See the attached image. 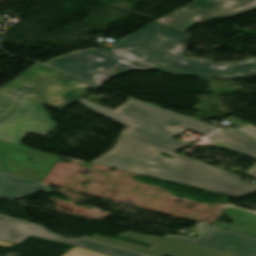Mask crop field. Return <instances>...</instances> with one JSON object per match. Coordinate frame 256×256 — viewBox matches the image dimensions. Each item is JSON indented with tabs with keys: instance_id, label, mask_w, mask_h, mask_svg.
I'll use <instances>...</instances> for the list:
<instances>
[{
	"instance_id": "obj_16",
	"label": "crop field",
	"mask_w": 256,
	"mask_h": 256,
	"mask_svg": "<svg viewBox=\"0 0 256 256\" xmlns=\"http://www.w3.org/2000/svg\"><path fill=\"white\" fill-rule=\"evenodd\" d=\"M147 70L154 69L158 71H163L167 73H172V74H177L181 76H190V77H205V78H221V79H232L240 76H245V77H250V76H255L256 75V68L250 69V70H245V71H240V72H235L227 75H195V74H185L181 72H176V71H171V70H166V69H161V68H154V65L151 67L146 68Z\"/></svg>"
},
{
	"instance_id": "obj_1",
	"label": "crop field",
	"mask_w": 256,
	"mask_h": 256,
	"mask_svg": "<svg viewBox=\"0 0 256 256\" xmlns=\"http://www.w3.org/2000/svg\"><path fill=\"white\" fill-rule=\"evenodd\" d=\"M159 152L176 159L161 157ZM92 162L235 198L256 192V185L240 182V176L123 134L112 151Z\"/></svg>"
},
{
	"instance_id": "obj_17",
	"label": "crop field",
	"mask_w": 256,
	"mask_h": 256,
	"mask_svg": "<svg viewBox=\"0 0 256 256\" xmlns=\"http://www.w3.org/2000/svg\"><path fill=\"white\" fill-rule=\"evenodd\" d=\"M35 87H37V86L30 82H27L25 80L15 77L10 82H8L6 85H4L1 89L21 96V94H23Z\"/></svg>"
},
{
	"instance_id": "obj_3",
	"label": "crop field",
	"mask_w": 256,
	"mask_h": 256,
	"mask_svg": "<svg viewBox=\"0 0 256 256\" xmlns=\"http://www.w3.org/2000/svg\"><path fill=\"white\" fill-rule=\"evenodd\" d=\"M79 102L94 111L108 116L128 127L123 134L158 145L169 150H178L188 144L171 138L182 128L209 135L217 129L134 102L127 101L115 111L81 99ZM169 126L173 127L172 129ZM182 127V128H180Z\"/></svg>"
},
{
	"instance_id": "obj_15",
	"label": "crop field",
	"mask_w": 256,
	"mask_h": 256,
	"mask_svg": "<svg viewBox=\"0 0 256 256\" xmlns=\"http://www.w3.org/2000/svg\"><path fill=\"white\" fill-rule=\"evenodd\" d=\"M57 76H68V74H65L45 65L35 64L26 71L19 74L17 77L25 79L37 85L38 80L40 79Z\"/></svg>"
},
{
	"instance_id": "obj_12",
	"label": "crop field",
	"mask_w": 256,
	"mask_h": 256,
	"mask_svg": "<svg viewBox=\"0 0 256 256\" xmlns=\"http://www.w3.org/2000/svg\"><path fill=\"white\" fill-rule=\"evenodd\" d=\"M48 185L49 184L0 172V197L2 198H16L36 191H42L48 194L54 192L47 187Z\"/></svg>"
},
{
	"instance_id": "obj_5",
	"label": "crop field",
	"mask_w": 256,
	"mask_h": 256,
	"mask_svg": "<svg viewBox=\"0 0 256 256\" xmlns=\"http://www.w3.org/2000/svg\"><path fill=\"white\" fill-rule=\"evenodd\" d=\"M253 9L256 0H196L159 21L185 30L196 22L233 17Z\"/></svg>"
},
{
	"instance_id": "obj_9",
	"label": "crop field",
	"mask_w": 256,
	"mask_h": 256,
	"mask_svg": "<svg viewBox=\"0 0 256 256\" xmlns=\"http://www.w3.org/2000/svg\"><path fill=\"white\" fill-rule=\"evenodd\" d=\"M196 228L198 236L194 239L180 235H167L165 238L234 256H256V239L203 225H198Z\"/></svg>"
},
{
	"instance_id": "obj_19",
	"label": "crop field",
	"mask_w": 256,
	"mask_h": 256,
	"mask_svg": "<svg viewBox=\"0 0 256 256\" xmlns=\"http://www.w3.org/2000/svg\"><path fill=\"white\" fill-rule=\"evenodd\" d=\"M0 245H1V246L11 247L13 244H9V243H5V242H1V241H0Z\"/></svg>"
},
{
	"instance_id": "obj_20",
	"label": "crop field",
	"mask_w": 256,
	"mask_h": 256,
	"mask_svg": "<svg viewBox=\"0 0 256 256\" xmlns=\"http://www.w3.org/2000/svg\"><path fill=\"white\" fill-rule=\"evenodd\" d=\"M0 1H3V0H0Z\"/></svg>"
},
{
	"instance_id": "obj_11",
	"label": "crop field",
	"mask_w": 256,
	"mask_h": 256,
	"mask_svg": "<svg viewBox=\"0 0 256 256\" xmlns=\"http://www.w3.org/2000/svg\"><path fill=\"white\" fill-rule=\"evenodd\" d=\"M162 67L177 69L185 72L199 73V74H213L226 73L239 69L256 66V58H247L238 63L231 64H213L205 60L191 59L189 57H182L169 62L161 64Z\"/></svg>"
},
{
	"instance_id": "obj_14",
	"label": "crop field",
	"mask_w": 256,
	"mask_h": 256,
	"mask_svg": "<svg viewBox=\"0 0 256 256\" xmlns=\"http://www.w3.org/2000/svg\"><path fill=\"white\" fill-rule=\"evenodd\" d=\"M231 217L232 223L225 222L215 224V227L227 229L244 235L256 237V215L236 208L229 207L225 212Z\"/></svg>"
},
{
	"instance_id": "obj_6",
	"label": "crop field",
	"mask_w": 256,
	"mask_h": 256,
	"mask_svg": "<svg viewBox=\"0 0 256 256\" xmlns=\"http://www.w3.org/2000/svg\"><path fill=\"white\" fill-rule=\"evenodd\" d=\"M60 158L25 146L0 141V168L15 175L43 181ZM29 159L36 160L37 163H29Z\"/></svg>"
},
{
	"instance_id": "obj_7",
	"label": "crop field",
	"mask_w": 256,
	"mask_h": 256,
	"mask_svg": "<svg viewBox=\"0 0 256 256\" xmlns=\"http://www.w3.org/2000/svg\"><path fill=\"white\" fill-rule=\"evenodd\" d=\"M90 86L99 89L74 77L47 79L40 81L38 89L22 97L61 111L88 95Z\"/></svg>"
},
{
	"instance_id": "obj_2",
	"label": "crop field",
	"mask_w": 256,
	"mask_h": 256,
	"mask_svg": "<svg viewBox=\"0 0 256 256\" xmlns=\"http://www.w3.org/2000/svg\"><path fill=\"white\" fill-rule=\"evenodd\" d=\"M189 38L181 30L155 22L108 49L71 54L49 65L101 84L113 78L115 66L140 71L182 57Z\"/></svg>"
},
{
	"instance_id": "obj_18",
	"label": "crop field",
	"mask_w": 256,
	"mask_h": 256,
	"mask_svg": "<svg viewBox=\"0 0 256 256\" xmlns=\"http://www.w3.org/2000/svg\"><path fill=\"white\" fill-rule=\"evenodd\" d=\"M63 256H104V255L74 247Z\"/></svg>"
},
{
	"instance_id": "obj_13",
	"label": "crop field",
	"mask_w": 256,
	"mask_h": 256,
	"mask_svg": "<svg viewBox=\"0 0 256 256\" xmlns=\"http://www.w3.org/2000/svg\"><path fill=\"white\" fill-rule=\"evenodd\" d=\"M210 138L237 149L256 159V142L234 130L219 131ZM256 178V164L247 172Z\"/></svg>"
},
{
	"instance_id": "obj_10",
	"label": "crop field",
	"mask_w": 256,
	"mask_h": 256,
	"mask_svg": "<svg viewBox=\"0 0 256 256\" xmlns=\"http://www.w3.org/2000/svg\"><path fill=\"white\" fill-rule=\"evenodd\" d=\"M120 236L152 243L154 245L149 249H147L138 245H134V244H130V243H126V242H122V241H118V240H114V239H110V238H106L98 235H93L92 239L109 243L112 245H116L119 247H123L126 249H130L133 251L141 252L144 254L152 255V256H164V255H167V256H231V255L211 251L208 249L188 245L185 243H181V242H177V241H173V240H169V239H165L157 236L146 237V236H142V235H138L130 232L124 233Z\"/></svg>"
},
{
	"instance_id": "obj_8",
	"label": "crop field",
	"mask_w": 256,
	"mask_h": 256,
	"mask_svg": "<svg viewBox=\"0 0 256 256\" xmlns=\"http://www.w3.org/2000/svg\"><path fill=\"white\" fill-rule=\"evenodd\" d=\"M30 235L53 241H62L112 256H142L86 239H66L54 236L39 226L0 215V240L19 244Z\"/></svg>"
},
{
	"instance_id": "obj_4",
	"label": "crop field",
	"mask_w": 256,
	"mask_h": 256,
	"mask_svg": "<svg viewBox=\"0 0 256 256\" xmlns=\"http://www.w3.org/2000/svg\"><path fill=\"white\" fill-rule=\"evenodd\" d=\"M18 99L0 89V120L11 113ZM55 127L42 105L22 98L13 115L0 123V140L19 144L28 133L45 136Z\"/></svg>"
}]
</instances>
